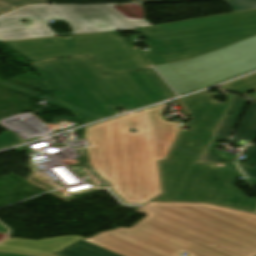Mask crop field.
Segmentation results:
<instances>
[{"mask_svg":"<svg viewBox=\"0 0 256 256\" xmlns=\"http://www.w3.org/2000/svg\"><path fill=\"white\" fill-rule=\"evenodd\" d=\"M130 229L84 239L122 256H256V215L209 204L151 202Z\"/></svg>","mask_w":256,"mask_h":256,"instance_id":"8a807250","label":"crop field"},{"mask_svg":"<svg viewBox=\"0 0 256 256\" xmlns=\"http://www.w3.org/2000/svg\"><path fill=\"white\" fill-rule=\"evenodd\" d=\"M215 101L205 91L182 102L193 117L171 157L162 162L166 194L157 201L207 202L256 213V198L247 197L234 185L241 175L234 163L200 162L232 97ZM185 127V128H186Z\"/></svg>","mask_w":256,"mask_h":256,"instance_id":"ac0d7876","label":"crop field"},{"mask_svg":"<svg viewBox=\"0 0 256 256\" xmlns=\"http://www.w3.org/2000/svg\"><path fill=\"white\" fill-rule=\"evenodd\" d=\"M84 138L89 162L127 204L162 194L153 108L87 127Z\"/></svg>","mask_w":256,"mask_h":256,"instance_id":"34b2d1b8","label":"crop field"},{"mask_svg":"<svg viewBox=\"0 0 256 256\" xmlns=\"http://www.w3.org/2000/svg\"><path fill=\"white\" fill-rule=\"evenodd\" d=\"M34 66L54 95L86 123L117 115L115 106L137 109L176 96L152 69L105 77L90 58Z\"/></svg>","mask_w":256,"mask_h":256,"instance_id":"412701ff","label":"crop field"},{"mask_svg":"<svg viewBox=\"0 0 256 256\" xmlns=\"http://www.w3.org/2000/svg\"><path fill=\"white\" fill-rule=\"evenodd\" d=\"M124 31L145 37L151 47L145 54L156 66L219 50L256 35V9Z\"/></svg>","mask_w":256,"mask_h":256,"instance_id":"f4fd0767","label":"crop field"},{"mask_svg":"<svg viewBox=\"0 0 256 256\" xmlns=\"http://www.w3.org/2000/svg\"><path fill=\"white\" fill-rule=\"evenodd\" d=\"M22 20L28 23L24 24ZM48 20L65 21L71 27L73 34L150 25L146 20L128 19L110 4L33 5L0 17V41L63 36L54 33L46 22Z\"/></svg>","mask_w":256,"mask_h":256,"instance_id":"dd49c442","label":"crop field"},{"mask_svg":"<svg viewBox=\"0 0 256 256\" xmlns=\"http://www.w3.org/2000/svg\"><path fill=\"white\" fill-rule=\"evenodd\" d=\"M2 43L32 63L57 57L90 56L106 74L148 68L117 31Z\"/></svg>","mask_w":256,"mask_h":256,"instance_id":"e52e79f7","label":"crop field"},{"mask_svg":"<svg viewBox=\"0 0 256 256\" xmlns=\"http://www.w3.org/2000/svg\"><path fill=\"white\" fill-rule=\"evenodd\" d=\"M170 65L193 91L226 81L256 69V36Z\"/></svg>","mask_w":256,"mask_h":256,"instance_id":"d8731c3e","label":"crop field"},{"mask_svg":"<svg viewBox=\"0 0 256 256\" xmlns=\"http://www.w3.org/2000/svg\"><path fill=\"white\" fill-rule=\"evenodd\" d=\"M83 237L65 236L53 239H45L41 241H33L26 239L11 238L4 242H0V250L17 252L32 255L49 256L68 245L80 240ZM0 256H30L22 254H13L0 252Z\"/></svg>","mask_w":256,"mask_h":256,"instance_id":"5a996713","label":"crop field"},{"mask_svg":"<svg viewBox=\"0 0 256 256\" xmlns=\"http://www.w3.org/2000/svg\"><path fill=\"white\" fill-rule=\"evenodd\" d=\"M249 100L234 95L202 161L233 162L235 158L225 157L224 153H217L216 147L219 140L229 141L240 117L242 116ZM233 115L229 117V113Z\"/></svg>","mask_w":256,"mask_h":256,"instance_id":"3316defc","label":"crop field"},{"mask_svg":"<svg viewBox=\"0 0 256 256\" xmlns=\"http://www.w3.org/2000/svg\"><path fill=\"white\" fill-rule=\"evenodd\" d=\"M168 104L154 108L160 160L166 159L184 125L168 122L160 115L165 112Z\"/></svg>","mask_w":256,"mask_h":256,"instance_id":"28ad6ade","label":"crop field"},{"mask_svg":"<svg viewBox=\"0 0 256 256\" xmlns=\"http://www.w3.org/2000/svg\"><path fill=\"white\" fill-rule=\"evenodd\" d=\"M246 144H254L256 140V103L251 101L231 143L236 144L240 141Z\"/></svg>","mask_w":256,"mask_h":256,"instance_id":"d1516ede","label":"crop field"},{"mask_svg":"<svg viewBox=\"0 0 256 256\" xmlns=\"http://www.w3.org/2000/svg\"><path fill=\"white\" fill-rule=\"evenodd\" d=\"M56 254L61 256H120L84 240H80Z\"/></svg>","mask_w":256,"mask_h":256,"instance_id":"22f410ed","label":"crop field"},{"mask_svg":"<svg viewBox=\"0 0 256 256\" xmlns=\"http://www.w3.org/2000/svg\"><path fill=\"white\" fill-rule=\"evenodd\" d=\"M155 68L171 84L179 95L192 92L189 86L180 78L169 64L156 66Z\"/></svg>","mask_w":256,"mask_h":256,"instance_id":"cbeb9de0","label":"crop field"},{"mask_svg":"<svg viewBox=\"0 0 256 256\" xmlns=\"http://www.w3.org/2000/svg\"><path fill=\"white\" fill-rule=\"evenodd\" d=\"M221 89L240 92L243 94L252 92L256 90V74L223 85L221 86Z\"/></svg>","mask_w":256,"mask_h":256,"instance_id":"5142ce71","label":"crop field"},{"mask_svg":"<svg viewBox=\"0 0 256 256\" xmlns=\"http://www.w3.org/2000/svg\"><path fill=\"white\" fill-rule=\"evenodd\" d=\"M50 0H0V14L32 3H47Z\"/></svg>","mask_w":256,"mask_h":256,"instance_id":"d9b57169","label":"crop field"},{"mask_svg":"<svg viewBox=\"0 0 256 256\" xmlns=\"http://www.w3.org/2000/svg\"><path fill=\"white\" fill-rule=\"evenodd\" d=\"M246 150H248L246 163H255L254 170L245 167L240 161H237V164L247 178H256V148H246Z\"/></svg>","mask_w":256,"mask_h":256,"instance_id":"733c2abd","label":"crop field"},{"mask_svg":"<svg viewBox=\"0 0 256 256\" xmlns=\"http://www.w3.org/2000/svg\"><path fill=\"white\" fill-rule=\"evenodd\" d=\"M233 12L255 9L256 0H225Z\"/></svg>","mask_w":256,"mask_h":256,"instance_id":"4a817a6b","label":"crop field"},{"mask_svg":"<svg viewBox=\"0 0 256 256\" xmlns=\"http://www.w3.org/2000/svg\"><path fill=\"white\" fill-rule=\"evenodd\" d=\"M16 137L17 136L15 134L9 131L0 134V149L24 142L21 139L17 140Z\"/></svg>","mask_w":256,"mask_h":256,"instance_id":"bc2a9ffb","label":"crop field"},{"mask_svg":"<svg viewBox=\"0 0 256 256\" xmlns=\"http://www.w3.org/2000/svg\"><path fill=\"white\" fill-rule=\"evenodd\" d=\"M134 49L139 54V56L143 59V61L147 64V66L150 67L149 63L146 61V59L141 54L140 49L139 48H134Z\"/></svg>","mask_w":256,"mask_h":256,"instance_id":"214f88e0","label":"crop field"},{"mask_svg":"<svg viewBox=\"0 0 256 256\" xmlns=\"http://www.w3.org/2000/svg\"><path fill=\"white\" fill-rule=\"evenodd\" d=\"M244 96H247V97H251V98H254L256 99V91L252 92V93H249V94H246Z\"/></svg>","mask_w":256,"mask_h":256,"instance_id":"92a150f3","label":"crop field"},{"mask_svg":"<svg viewBox=\"0 0 256 256\" xmlns=\"http://www.w3.org/2000/svg\"><path fill=\"white\" fill-rule=\"evenodd\" d=\"M51 256H58V255L53 254V255H51Z\"/></svg>","mask_w":256,"mask_h":256,"instance_id":"dafd665d","label":"crop field"}]
</instances>
